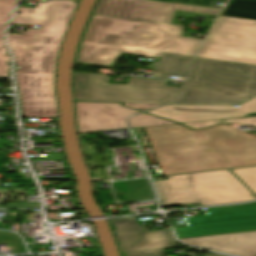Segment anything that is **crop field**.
<instances>
[{"mask_svg":"<svg viewBox=\"0 0 256 256\" xmlns=\"http://www.w3.org/2000/svg\"><path fill=\"white\" fill-rule=\"evenodd\" d=\"M254 116H256V115H249V117H254Z\"/></svg>","mask_w":256,"mask_h":256,"instance_id":"26","label":"crop field"},{"mask_svg":"<svg viewBox=\"0 0 256 256\" xmlns=\"http://www.w3.org/2000/svg\"><path fill=\"white\" fill-rule=\"evenodd\" d=\"M180 241L185 244L239 256H256V231Z\"/></svg>","mask_w":256,"mask_h":256,"instance_id":"13","label":"crop field"},{"mask_svg":"<svg viewBox=\"0 0 256 256\" xmlns=\"http://www.w3.org/2000/svg\"><path fill=\"white\" fill-rule=\"evenodd\" d=\"M176 10L217 15L220 10L149 0H100L96 15L170 24Z\"/></svg>","mask_w":256,"mask_h":256,"instance_id":"9","label":"crop field"},{"mask_svg":"<svg viewBox=\"0 0 256 256\" xmlns=\"http://www.w3.org/2000/svg\"><path fill=\"white\" fill-rule=\"evenodd\" d=\"M13 23L42 25L39 30L28 29L25 34L54 35V36H63L66 25H67V24H58V23H40V22H22V21H14Z\"/></svg>","mask_w":256,"mask_h":256,"instance_id":"18","label":"crop field"},{"mask_svg":"<svg viewBox=\"0 0 256 256\" xmlns=\"http://www.w3.org/2000/svg\"><path fill=\"white\" fill-rule=\"evenodd\" d=\"M163 175L256 165V137L227 124L145 127Z\"/></svg>","mask_w":256,"mask_h":256,"instance_id":"1","label":"crop field"},{"mask_svg":"<svg viewBox=\"0 0 256 256\" xmlns=\"http://www.w3.org/2000/svg\"><path fill=\"white\" fill-rule=\"evenodd\" d=\"M75 7V2L64 0L38 3L36 9L19 8L22 14L16 15L14 20L67 23Z\"/></svg>","mask_w":256,"mask_h":256,"instance_id":"14","label":"crop field"},{"mask_svg":"<svg viewBox=\"0 0 256 256\" xmlns=\"http://www.w3.org/2000/svg\"><path fill=\"white\" fill-rule=\"evenodd\" d=\"M188 227L176 228L179 239L256 230V203L208 208L207 215L184 218Z\"/></svg>","mask_w":256,"mask_h":256,"instance_id":"8","label":"crop field"},{"mask_svg":"<svg viewBox=\"0 0 256 256\" xmlns=\"http://www.w3.org/2000/svg\"><path fill=\"white\" fill-rule=\"evenodd\" d=\"M109 77L74 72L75 100L164 104L181 89L166 86V81L134 77L128 85L107 84Z\"/></svg>","mask_w":256,"mask_h":256,"instance_id":"7","label":"crop field"},{"mask_svg":"<svg viewBox=\"0 0 256 256\" xmlns=\"http://www.w3.org/2000/svg\"><path fill=\"white\" fill-rule=\"evenodd\" d=\"M221 122L220 120L216 121H206V122H196V123H186L184 125H187L193 129L198 128H205L209 126H213L217 123ZM224 122H235V123H241V124H249V125H255L256 124V117L254 118H245V119H231Z\"/></svg>","mask_w":256,"mask_h":256,"instance_id":"21","label":"crop field"},{"mask_svg":"<svg viewBox=\"0 0 256 256\" xmlns=\"http://www.w3.org/2000/svg\"><path fill=\"white\" fill-rule=\"evenodd\" d=\"M124 106H128V107H132V108H136V109H140V110H144V109H148V108H152L158 105H152V104H132V103H123Z\"/></svg>","mask_w":256,"mask_h":256,"instance_id":"25","label":"crop field"},{"mask_svg":"<svg viewBox=\"0 0 256 256\" xmlns=\"http://www.w3.org/2000/svg\"><path fill=\"white\" fill-rule=\"evenodd\" d=\"M122 253L177 246L170 229L149 231L135 217L112 220Z\"/></svg>","mask_w":256,"mask_h":256,"instance_id":"10","label":"crop field"},{"mask_svg":"<svg viewBox=\"0 0 256 256\" xmlns=\"http://www.w3.org/2000/svg\"><path fill=\"white\" fill-rule=\"evenodd\" d=\"M191 58L163 53L153 76L162 79H168L170 74L184 76Z\"/></svg>","mask_w":256,"mask_h":256,"instance_id":"15","label":"crop field"},{"mask_svg":"<svg viewBox=\"0 0 256 256\" xmlns=\"http://www.w3.org/2000/svg\"><path fill=\"white\" fill-rule=\"evenodd\" d=\"M154 183L163 207L222 205L256 198L230 170L171 176Z\"/></svg>","mask_w":256,"mask_h":256,"instance_id":"6","label":"crop field"},{"mask_svg":"<svg viewBox=\"0 0 256 256\" xmlns=\"http://www.w3.org/2000/svg\"><path fill=\"white\" fill-rule=\"evenodd\" d=\"M130 123L132 127L138 126H150V125H161V124H173L174 122L167 121L155 116H151L145 113L135 115L131 117Z\"/></svg>","mask_w":256,"mask_h":256,"instance_id":"19","label":"crop field"},{"mask_svg":"<svg viewBox=\"0 0 256 256\" xmlns=\"http://www.w3.org/2000/svg\"><path fill=\"white\" fill-rule=\"evenodd\" d=\"M131 201L153 198L145 180L124 181Z\"/></svg>","mask_w":256,"mask_h":256,"instance_id":"17","label":"crop field"},{"mask_svg":"<svg viewBox=\"0 0 256 256\" xmlns=\"http://www.w3.org/2000/svg\"><path fill=\"white\" fill-rule=\"evenodd\" d=\"M256 96V66L195 58L171 104H239Z\"/></svg>","mask_w":256,"mask_h":256,"instance_id":"4","label":"crop field"},{"mask_svg":"<svg viewBox=\"0 0 256 256\" xmlns=\"http://www.w3.org/2000/svg\"><path fill=\"white\" fill-rule=\"evenodd\" d=\"M0 243H22L19 236L10 232H0Z\"/></svg>","mask_w":256,"mask_h":256,"instance_id":"24","label":"crop field"},{"mask_svg":"<svg viewBox=\"0 0 256 256\" xmlns=\"http://www.w3.org/2000/svg\"><path fill=\"white\" fill-rule=\"evenodd\" d=\"M79 132L128 128L125 119L139 111L120 104L75 102Z\"/></svg>","mask_w":256,"mask_h":256,"instance_id":"12","label":"crop field"},{"mask_svg":"<svg viewBox=\"0 0 256 256\" xmlns=\"http://www.w3.org/2000/svg\"><path fill=\"white\" fill-rule=\"evenodd\" d=\"M162 1H171V2H179V3L213 7L216 2L226 1V0H162Z\"/></svg>","mask_w":256,"mask_h":256,"instance_id":"22","label":"crop field"},{"mask_svg":"<svg viewBox=\"0 0 256 256\" xmlns=\"http://www.w3.org/2000/svg\"><path fill=\"white\" fill-rule=\"evenodd\" d=\"M256 112V97L240 107L232 106H201V105H167L146 112L179 123L228 119L245 116Z\"/></svg>","mask_w":256,"mask_h":256,"instance_id":"11","label":"crop field"},{"mask_svg":"<svg viewBox=\"0 0 256 256\" xmlns=\"http://www.w3.org/2000/svg\"><path fill=\"white\" fill-rule=\"evenodd\" d=\"M185 27L92 15L76 64L112 68L122 55L160 58L162 52L193 56L200 39L180 37Z\"/></svg>","mask_w":256,"mask_h":256,"instance_id":"2","label":"crop field"},{"mask_svg":"<svg viewBox=\"0 0 256 256\" xmlns=\"http://www.w3.org/2000/svg\"><path fill=\"white\" fill-rule=\"evenodd\" d=\"M241 181L256 195V167L232 170Z\"/></svg>","mask_w":256,"mask_h":256,"instance_id":"20","label":"crop field"},{"mask_svg":"<svg viewBox=\"0 0 256 256\" xmlns=\"http://www.w3.org/2000/svg\"><path fill=\"white\" fill-rule=\"evenodd\" d=\"M197 57L256 65V0H230Z\"/></svg>","mask_w":256,"mask_h":256,"instance_id":"5","label":"crop field"},{"mask_svg":"<svg viewBox=\"0 0 256 256\" xmlns=\"http://www.w3.org/2000/svg\"><path fill=\"white\" fill-rule=\"evenodd\" d=\"M63 37L8 34L23 117H58L54 74Z\"/></svg>","mask_w":256,"mask_h":256,"instance_id":"3","label":"crop field"},{"mask_svg":"<svg viewBox=\"0 0 256 256\" xmlns=\"http://www.w3.org/2000/svg\"><path fill=\"white\" fill-rule=\"evenodd\" d=\"M17 0H0V76L8 77L10 66L9 56L3 46V33L6 22L15 6Z\"/></svg>","mask_w":256,"mask_h":256,"instance_id":"16","label":"crop field"},{"mask_svg":"<svg viewBox=\"0 0 256 256\" xmlns=\"http://www.w3.org/2000/svg\"><path fill=\"white\" fill-rule=\"evenodd\" d=\"M123 256H163V249L128 253V254H123ZM208 256H224V255L214 254V255H208Z\"/></svg>","mask_w":256,"mask_h":256,"instance_id":"23","label":"crop field"}]
</instances>
